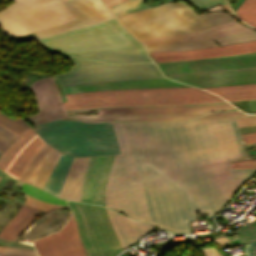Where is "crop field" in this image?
<instances>
[{"instance_id": "obj_1", "label": "crop field", "mask_w": 256, "mask_h": 256, "mask_svg": "<svg viewBox=\"0 0 256 256\" xmlns=\"http://www.w3.org/2000/svg\"><path fill=\"white\" fill-rule=\"evenodd\" d=\"M115 156L106 207L163 229L192 233L196 213L212 217L256 169H228L245 160L233 119L166 124L113 123Z\"/></svg>"}, {"instance_id": "obj_2", "label": "crop field", "mask_w": 256, "mask_h": 256, "mask_svg": "<svg viewBox=\"0 0 256 256\" xmlns=\"http://www.w3.org/2000/svg\"><path fill=\"white\" fill-rule=\"evenodd\" d=\"M40 40L70 54L108 63L152 62L145 48L116 19Z\"/></svg>"}, {"instance_id": "obj_3", "label": "crop field", "mask_w": 256, "mask_h": 256, "mask_svg": "<svg viewBox=\"0 0 256 256\" xmlns=\"http://www.w3.org/2000/svg\"><path fill=\"white\" fill-rule=\"evenodd\" d=\"M36 127L41 138L63 152L44 187L55 195L59 193L73 156L120 153L111 122L57 120Z\"/></svg>"}, {"instance_id": "obj_4", "label": "crop field", "mask_w": 256, "mask_h": 256, "mask_svg": "<svg viewBox=\"0 0 256 256\" xmlns=\"http://www.w3.org/2000/svg\"><path fill=\"white\" fill-rule=\"evenodd\" d=\"M119 20L138 39L195 32L233 21L227 13L198 16L185 2L162 5Z\"/></svg>"}, {"instance_id": "obj_5", "label": "crop field", "mask_w": 256, "mask_h": 256, "mask_svg": "<svg viewBox=\"0 0 256 256\" xmlns=\"http://www.w3.org/2000/svg\"><path fill=\"white\" fill-rule=\"evenodd\" d=\"M172 79L199 87L256 83V56L157 63Z\"/></svg>"}, {"instance_id": "obj_6", "label": "crop field", "mask_w": 256, "mask_h": 256, "mask_svg": "<svg viewBox=\"0 0 256 256\" xmlns=\"http://www.w3.org/2000/svg\"><path fill=\"white\" fill-rule=\"evenodd\" d=\"M65 109L128 104L173 105L224 101L207 91L195 88L139 90H104L66 95Z\"/></svg>"}, {"instance_id": "obj_7", "label": "crop field", "mask_w": 256, "mask_h": 256, "mask_svg": "<svg viewBox=\"0 0 256 256\" xmlns=\"http://www.w3.org/2000/svg\"><path fill=\"white\" fill-rule=\"evenodd\" d=\"M0 11V28L11 38L76 18L64 5L66 0H13Z\"/></svg>"}, {"instance_id": "obj_8", "label": "crop field", "mask_w": 256, "mask_h": 256, "mask_svg": "<svg viewBox=\"0 0 256 256\" xmlns=\"http://www.w3.org/2000/svg\"><path fill=\"white\" fill-rule=\"evenodd\" d=\"M88 256H115L123 251L105 208L68 201Z\"/></svg>"}, {"instance_id": "obj_9", "label": "crop field", "mask_w": 256, "mask_h": 256, "mask_svg": "<svg viewBox=\"0 0 256 256\" xmlns=\"http://www.w3.org/2000/svg\"><path fill=\"white\" fill-rule=\"evenodd\" d=\"M68 58L75 65L69 73L56 75L62 85L105 80L164 77L154 63L110 65L73 56H68Z\"/></svg>"}, {"instance_id": "obj_10", "label": "crop field", "mask_w": 256, "mask_h": 256, "mask_svg": "<svg viewBox=\"0 0 256 256\" xmlns=\"http://www.w3.org/2000/svg\"><path fill=\"white\" fill-rule=\"evenodd\" d=\"M64 3L78 20L37 31L38 38L114 19L100 0H67Z\"/></svg>"}, {"instance_id": "obj_11", "label": "crop field", "mask_w": 256, "mask_h": 256, "mask_svg": "<svg viewBox=\"0 0 256 256\" xmlns=\"http://www.w3.org/2000/svg\"><path fill=\"white\" fill-rule=\"evenodd\" d=\"M34 245L40 256H87L73 216L61 231L35 240Z\"/></svg>"}, {"instance_id": "obj_12", "label": "crop field", "mask_w": 256, "mask_h": 256, "mask_svg": "<svg viewBox=\"0 0 256 256\" xmlns=\"http://www.w3.org/2000/svg\"><path fill=\"white\" fill-rule=\"evenodd\" d=\"M30 87L36 96L39 113L24 118L34 124L67 118V113L52 77L38 79Z\"/></svg>"}, {"instance_id": "obj_13", "label": "crop field", "mask_w": 256, "mask_h": 256, "mask_svg": "<svg viewBox=\"0 0 256 256\" xmlns=\"http://www.w3.org/2000/svg\"><path fill=\"white\" fill-rule=\"evenodd\" d=\"M114 156L90 158L82 186L81 201L105 206V188Z\"/></svg>"}, {"instance_id": "obj_14", "label": "crop field", "mask_w": 256, "mask_h": 256, "mask_svg": "<svg viewBox=\"0 0 256 256\" xmlns=\"http://www.w3.org/2000/svg\"><path fill=\"white\" fill-rule=\"evenodd\" d=\"M256 51V41L205 48L201 50L190 51H160V52H148V54L158 62L173 61V60H189L200 59L216 56H224L231 54L247 53Z\"/></svg>"}, {"instance_id": "obj_15", "label": "crop field", "mask_w": 256, "mask_h": 256, "mask_svg": "<svg viewBox=\"0 0 256 256\" xmlns=\"http://www.w3.org/2000/svg\"><path fill=\"white\" fill-rule=\"evenodd\" d=\"M187 86L168 80L166 78H150L136 80H119L83 83L64 86V93H78L104 89H139V88H163Z\"/></svg>"}, {"instance_id": "obj_16", "label": "crop field", "mask_w": 256, "mask_h": 256, "mask_svg": "<svg viewBox=\"0 0 256 256\" xmlns=\"http://www.w3.org/2000/svg\"><path fill=\"white\" fill-rule=\"evenodd\" d=\"M247 30H251V29L244 25H241L239 22L235 20L233 22L211 27L195 33L155 37V38L142 39L139 41H141L144 46L164 44V43H186V42H193V41L215 38V37L224 36L228 34L247 31Z\"/></svg>"}, {"instance_id": "obj_17", "label": "crop field", "mask_w": 256, "mask_h": 256, "mask_svg": "<svg viewBox=\"0 0 256 256\" xmlns=\"http://www.w3.org/2000/svg\"><path fill=\"white\" fill-rule=\"evenodd\" d=\"M209 111L187 112L173 114H104V115H80L69 119H80L87 122L100 121H131V122H177L187 121ZM68 119V118H67Z\"/></svg>"}, {"instance_id": "obj_18", "label": "crop field", "mask_w": 256, "mask_h": 256, "mask_svg": "<svg viewBox=\"0 0 256 256\" xmlns=\"http://www.w3.org/2000/svg\"><path fill=\"white\" fill-rule=\"evenodd\" d=\"M0 125L19 135L0 156V169L4 171L22 146L37 133L22 118L11 120L0 114Z\"/></svg>"}, {"instance_id": "obj_19", "label": "crop field", "mask_w": 256, "mask_h": 256, "mask_svg": "<svg viewBox=\"0 0 256 256\" xmlns=\"http://www.w3.org/2000/svg\"><path fill=\"white\" fill-rule=\"evenodd\" d=\"M90 157H74L62 188L59 197L70 200L80 201V191Z\"/></svg>"}, {"instance_id": "obj_20", "label": "crop field", "mask_w": 256, "mask_h": 256, "mask_svg": "<svg viewBox=\"0 0 256 256\" xmlns=\"http://www.w3.org/2000/svg\"><path fill=\"white\" fill-rule=\"evenodd\" d=\"M107 211L111 223L124 248L134 245L138 237L153 229L144 224L133 222L116 212L108 209Z\"/></svg>"}, {"instance_id": "obj_21", "label": "crop field", "mask_w": 256, "mask_h": 256, "mask_svg": "<svg viewBox=\"0 0 256 256\" xmlns=\"http://www.w3.org/2000/svg\"><path fill=\"white\" fill-rule=\"evenodd\" d=\"M45 143L46 142L42 140L37 134L19 151V153L7 167L6 172L18 179L31 159Z\"/></svg>"}, {"instance_id": "obj_22", "label": "crop field", "mask_w": 256, "mask_h": 256, "mask_svg": "<svg viewBox=\"0 0 256 256\" xmlns=\"http://www.w3.org/2000/svg\"><path fill=\"white\" fill-rule=\"evenodd\" d=\"M38 212V210H34L23 204L17 215L0 232V238L15 241L18 234L30 223Z\"/></svg>"}, {"instance_id": "obj_23", "label": "crop field", "mask_w": 256, "mask_h": 256, "mask_svg": "<svg viewBox=\"0 0 256 256\" xmlns=\"http://www.w3.org/2000/svg\"><path fill=\"white\" fill-rule=\"evenodd\" d=\"M235 108L230 104L213 105V106H196V107H175V108H128V109H108L98 110L99 113H173L215 109Z\"/></svg>"}, {"instance_id": "obj_24", "label": "crop field", "mask_w": 256, "mask_h": 256, "mask_svg": "<svg viewBox=\"0 0 256 256\" xmlns=\"http://www.w3.org/2000/svg\"><path fill=\"white\" fill-rule=\"evenodd\" d=\"M209 90L227 101L256 99V84L225 86V87H209Z\"/></svg>"}, {"instance_id": "obj_25", "label": "crop field", "mask_w": 256, "mask_h": 256, "mask_svg": "<svg viewBox=\"0 0 256 256\" xmlns=\"http://www.w3.org/2000/svg\"><path fill=\"white\" fill-rule=\"evenodd\" d=\"M61 152L54 149L47 160L44 162L43 166L41 167L40 171L36 175L35 179L32 182V185L38 186L43 189L48 177L50 176L54 166L56 165Z\"/></svg>"}, {"instance_id": "obj_26", "label": "crop field", "mask_w": 256, "mask_h": 256, "mask_svg": "<svg viewBox=\"0 0 256 256\" xmlns=\"http://www.w3.org/2000/svg\"><path fill=\"white\" fill-rule=\"evenodd\" d=\"M218 46L213 39L204 40L199 42L187 43V44H165L157 46L146 47L147 51H159V50H190L201 49L205 47Z\"/></svg>"}, {"instance_id": "obj_27", "label": "crop field", "mask_w": 256, "mask_h": 256, "mask_svg": "<svg viewBox=\"0 0 256 256\" xmlns=\"http://www.w3.org/2000/svg\"><path fill=\"white\" fill-rule=\"evenodd\" d=\"M141 1L143 0H126L124 2H121L117 5H114L110 7L109 9L114 13L116 18L134 13L146 8H149L145 4H143Z\"/></svg>"}, {"instance_id": "obj_28", "label": "crop field", "mask_w": 256, "mask_h": 256, "mask_svg": "<svg viewBox=\"0 0 256 256\" xmlns=\"http://www.w3.org/2000/svg\"><path fill=\"white\" fill-rule=\"evenodd\" d=\"M236 14L240 19L256 27V0H244L236 10Z\"/></svg>"}, {"instance_id": "obj_29", "label": "crop field", "mask_w": 256, "mask_h": 256, "mask_svg": "<svg viewBox=\"0 0 256 256\" xmlns=\"http://www.w3.org/2000/svg\"><path fill=\"white\" fill-rule=\"evenodd\" d=\"M21 187H23V191L41 201L47 202V203H52V204H62V205H66V201L65 200H61L58 198L53 197L52 195L48 194L47 192L38 189L36 187H33L31 185L25 184L23 183L21 185ZM21 189V188H20Z\"/></svg>"}, {"instance_id": "obj_30", "label": "crop field", "mask_w": 256, "mask_h": 256, "mask_svg": "<svg viewBox=\"0 0 256 256\" xmlns=\"http://www.w3.org/2000/svg\"><path fill=\"white\" fill-rule=\"evenodd\" d=\"M239 236V244L256 239V220L250 224L245 223L235 231Z\"/></svg>"}, {"instance_id": "obj_31", "label": "crop field", "mask_w": 256, "mask_h": 256, "mask_svg": "<svg viewBox=\"0 0 256 256\" xmlns=\"http://www.w3.org/2000/svg\"><path fill=\"white\" fill-rule=\"evenodd\" d=\"M216 40L218 41L219 45L256 40V31L252 30L245 33L217 38Z\"/></svg>"}, {"instance_id": "obj_32", "label": "crop field", "mask_w": 256, "mask_h": 256, "mask_svg": "<svg viewBox=\"0 0 256 256\" xmlns=\"http://www.w3.org/2000/svg\"><path fill=\"white\" fill-rule=\"evenodd\" d=\"M246 116H256L255 115H246L240 111L235 112H214L205 114L202 117H198L192 121L195 120H212V119H226V118H238V117H246Z\"/></svg>"}, {"instance_id": "obj_33", "label": "crop field", "mask_w": 256, "mask_h": 256, "mask_svg": "<svg viewBox=\"0 0 256 256\" xmlns=\"http://www.w3.org/2000/svg\"><path fill=\"white\" fill-rule=\"evenodd\" d=\"M0 255L3 256H37L35 251L13 247L0 246Z\"/></svg>"}, {"instance_id": "obj_34", "label": "crop field", "mask_w": 256, "mask_h": 256, "mask_svg": "<svg viewBox=\"0 0 256 256\" xmlns=\"http://www.w3.org/2000/svg\"><path fill=\"white\" fill-rule=\"evenodd\" d=\"M26 204L35 208V209H38V210H44V211H49L53 208H57V207H66V206H62V205H52V204H47V203H44V202H41L35 198H32L28 195H26ZM68 208V207H66Z\"/></svg>"}, {"instance_id": "obj_35", "label": "crop field", "mask_w": 256, "mask_h": 256, "mask_svg": "<svg viewBox=\"0 0 256 256\" xmlns=\"http://www.w3.org/2000/svg\"><path fill=\"white\" fill-rule=\"evenodd\" d=\"M222 103H227V102L204 103V104H190V105H175V106L212 105V104H222ZM175 106L128 105V106H114V107H98V108L70 109V110H67V111L89 110V109H107V108H128V107H175Z\"/></svg>"}, {"instance_id": "obj_36", "label": "crop field", "mask_w": 256, "mask_h": 256, "mask_svg": "<svg viewBox=\"0 0 256 256\" xmlns=\"http://www.w3.org/2000/svg\"><path fill=\"white\" fill-rule=\"evenodd\" d=\"M0 132L12 137V138H16L18 135L8 131L7 129L3 128L2 126H0ZM2 133H0V154L7 148V146L13 141V139L3 135Z\"/></svg>"}, {"instance_id": "obj_37", "label": "crop field", "mask_w": 256, "mask_h": 256, "mask_svg": "<svg viewBox=\"0 0 256 256\" xmlns=\"http://www.w3.org/2000/svg\"><path fill=\"white\" fill-rule=\"evenodd\" d=\"M54 148L50 147L46 150V152L43 154V156L41 157V159L38 161V163L36 164V166L33 168V170L31 171V173L29 174V176L26 178L25 182L30 183L32 182V180L34 179L35 175L37 174V172L39 171L40 167L42 166L43 162L46 160V158L49 156V154L52 152Z\"/></svg>"}, {"instance_id": "obj_38", "label": "crop field", "mask_w": 256, "mask_h": 256, "mask_svg": "<svg viewBox=\"0 0 256 256\" xmlns=\"http://www.w3.org/2000/svg\"><path fill=\"white\" fill-rule=\"evenodd\" d=\"M49 145L46 143L43 148L36 154V156L32 159V161L30 162V164L28 165V167L25 169V171L23 172V174L21 175L19 180L24 181L25 178L28 176V174L30 173V171L32 170V168L35 166V164L37 163V161L39 160V158L42 156V154L44 153V151L47 149Z\"/></svg>"}, {"instance_id": "obj_39", "label": "crop field", "mask_w": 256, "mask_h": 256, "mask_svg": "<svg viewBox=\"0 0 256 256\" xmlns=\"http://www.w3.org/2000/svg\"><path fill=\"white\" fill-rule=\"evenodd\" d=\"M229 168H256V160L231 162Z\"/></svg>"}, {"instance_id": "obj_40", "label": "crop field", "mask_w": 256, "mask_h": 256, "mask_svg": "<svg viewBox=\"0 0 256 256\" xmlns=\"http://www.w3.org/2000/svg\"><path fill=\"white\" fill-rule=\"evenodd\" d=\"M188 1L204 8V9H206L212 5H215L217 3H226L225 0H215V1H213V0H188Z\"/></svg>"}, {"instance_id": "obj_41", "label": "crop field", "mask_w": 256, "mask_h": 256, "mask_svg": "<svg viewBox=\"0 0 256 256\" xmlns=\"http://www.w3.org/2000/svg\"><path fill=\"white\" fill-rule=\"evenodd\" d=\"M238 127L256 125V117H246L235 119Z\"/></svg>"}, {"instance_id": "obj_42", "label": "crop field", "mask_w": 256, "mask_h": 256, "mask_svg": "<svg viewBox=\"0 0 256 256\" xmlns=\"http://www.w3.org/2000/svg\"><path fill=\"white\" fill-rule=\"evenodd\" d=\"M204 256H223L216 248H204L200 249Z\"/></svg>"}, {"instance_id": "obj_43", "label": "crop field", "mask_w": 256, "mask_h": 256, "mask_svg": "<svg viewBox=\"0 0 256 256\" xmlns=\"http://www.w3.org/2000/svg\"><path fill=\"white\" fill-rule=\"evenodd\" d=\"M246 256H256V241L246 244Z\"/></svg>"}, {"instance_id": "obj_44", "label": "crop field", "mask_w": 256, "mask_h": 256, "mask_svg": "<svg viewBox=\"0 0 256 256\" xmlns=\"http://www.w3.org/2000/svg\"><path fill=\"white\" fill-rule=\"evenodd\" d=\"M245 144L256 142V133L241 135Z\"/></svg>"}, {"instance_id": "obj_45", "label": "crop field", "mask_w": 256, "mask_h": 256, "mask_svg": "<svg viewBox=\"0 0 256 256\" xmlns=\"http://www.w3.org/2000/svg\"><path fill=\"white\" fill-rule=\"evenodd\" d=\"M124 0H103V2L107 5V7L119 3Z\"/></svg>"}, {"instance_id": "obj_46", "label": "crop field", "mask_w": 256, "mask_h": 256, "mask_svg": "<svg viewBox=\"0 0 256 256\" xmlns=\"http://www.w3.org/2000/svg\"><path fill=\"white\" fill-rule=\"evenodd\" d=\"M242 1H243V0H237L235 10H236V9H237V7L242 3Z\"/></svg>"}]
</instances>
